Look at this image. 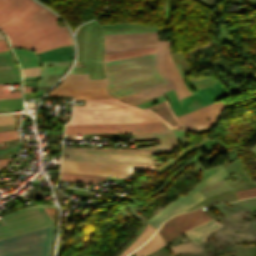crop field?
I'll list each match as a JSON object with an SVG mask.
<instances>
[{"label": "crop field", "mask_w": 256, "mask_h": 256, "mask_svg": "<svg viewBox=\"0 0 256 256\" xmlns=\"http://www.w3.org/2000/svg\"><path fill=\"white\" fill-rule=\"evenodd\" d=\"M60 19L31 0H0V28L8 35L12 47L29 48L37 53L72 43Z\"/></svg>", "instance_id": "1"}, {"label": "crop field", "mask_w": 256, "mask_h": 256, "mask_svg": "<svg viewBox=\"0 0 256 256\" xmlns=\"http://www.w3.org/2000/svg\"><path fill=\"white\" fill-rule=\"evenodd\" d=\"M104 63L107 90L119 99L168 83L156 68V53Z\"/></svg>", "instance_id": "2"}, {"label": "crop field", "mask_w": 256, "mask_h": 256, "mask_svg": "<svg viewBox=\"0 0 256 256\" xmlns=\"http://www.w3.org/2000/svg\"><path fill=\"white\" fill-rule=\"evenodd\" d=\"M132 137L134 142L158 140L161 146L139 149L63 148L62 159L159 166L162 163L153 161L159 160V157L146 154H169L172 147L178 145L171 130L156 134L132 135Z\"/></svg>", "instance_id": "3"}, {"label": "crop field", "mask_w": 256, "mask_h": 256, "mask_svg": "<svg viewBox=\"0 0 256 256\" xmlns=\"http://www.w3.org/2000/svg\"><path fill=\"white\" fill-rule=\"evenodd\" d=\"M153 47H158L157 68L171 83L177 99L192 94L169 54L168 42H158L157 32L104 35L105 53Z\"/></svg>", "instance_id": "4"}, {"label": "crop field", "mask_w": 256, "mask_h": 256, "mask_svg": "<svg viewBox=\"0 0 256 256\" xmlns=\"http://www.w3.org/2000/svg\"><path fill=\"white\" fill-rule=\"evenodd\" d=\"M160 122L152 115L116 98L86 101L74 106L72 121L67 125Z\"/></svg>", "instance_id": "5"}, {"label": "crop field", "mask_w": 256, "mask_h": 256, "mask_svg": "<svg viewBox=\"0 0 256 256\" xmlns=\"http://www.w3.org/2000/svg\"><path fill=\"white\" fill-rule=\"evenodd\" d=\"M53 231L54 225L0 240V256H50Z\"/></svg>", "instance_id": "6"}, {"label": "crop field", "mask_w": 256, "mask_h": 256, "mask_svg": "<svg viewBox=\"0 0 256 256\" xmlns=\"http://www.w3.org/2000/svg\"><path fill=\"white\" fill-rule=\"evenodd\" d=\"M53 224L43 207L20 209L0 219V239Z\"/></svg>", "instance_id": "7"}, {"label": "crop field", "mask_w": 256, "mask_h": 256, "mask_svg": "<svg viewBox=\"0 0 256 256\" xmlns=\"http://www.w3.org/2000/svg\"><path fill=\"white\" fill-rule=\"evenodd\" d=\"M106 80L90 81L87 73L68 74L62 84L47 96H76V100L113 97L106 90Z\"/></svg>", "instance_id": "8"}, {"label": "crop field", "mask_w": 256, "mask_h": 256, "mask_svg": "<svg viewBox=\"0 0 256 256\" xmlns=\"http://www.w3.org/2000/svg\"><path fill=\"white\" fill-rule=\"evenodd\" d=\"M133 166L62 160L61 172L128 178Z\"/></svg>", "instance_id": "9"}, {"label": "crop field", "mask_w": 256, "mask_h": 256, "mask_svg": "<svg viewBox=\"0 0 256 256\" xmlns=\"http://www.w3.org/2000/svg\"><path fill=\"white\" fill-rule=\"evenodd\" d=\"M210 219L212 217L208 216L203 209L199 208L192 212L174 216L164 222L158 231L166 243L184 231Z\"/></svg>", "instance_id": "10"}, {"label": "crop field", "mask_w": 256, "mask_h": 256, "mask_svg": "<svg viewBox=\"0 0 256 256\" xmlns=\"http://www.w3.org/2000/svg\"><path fill=\"white\" fill-rule=\"evenodd\" d=\"M168 129L162 123L66 126L65 134L120 132L151 133Z\"/></svg>", "instance_id": "11"}, {"label": "crop field", "mask_w": 256, "mask_h": 256, "mask_svg": "<svg viewBox=\"0 0 256 256\" xmlns=\"http://www.w3.org/2000/svg\"><path fill=\"white\" fill-rule=\"evenodd\" d=\"M222 101L215 102L186 114L184 127L178 130L206 131L224 110Z\"/></svg>", "instance_id": "12"}, {"label": "crop field", "mask_w": 256, "mask_h": 256, "mask_svg": "<svg viewBox=\"0 0 256 256\" xmlns=\"http://www.w3.org/2000/svg\"><path fill=\"white\" fill-rule=\"evenodd\" d=\"M229 175L223 168L216 171L215 173L207 176L204 178L202 181H200L187 195L186 199L180 203L169 215L168 218L174 216L175 214H179L181 212H184L187 210L189 207H191L193 204L196 202L200 201L201 199L205 198L198 190L209 186L213 183H216L222 179L228 178ZM167 218V219H168Z\"/></svg>", "instance_id": "13"}, {"label": "crop field", "mask_w": 256, "mask_h": 256, "mask_svg": "<svg viewBox=\"0 0 256 256\" xmlns=\"http://www.w3.org/2000/svg\"><path fill=\"white\" fill-rule=\"evenodd\" d=\"M144 110L152 113L156 118L160 119L169 128L180 127L176 116L168 106L166 100L151 107H148Z\"/></svg>", "instance_id": "14"}, {"label": "crop field", "mask_w": 256, "mask_h": 256, "mask_svg": "<svg viewBox=\"0 0 256 256\" xmlns=\"http://www.w3.org/2000/svg\"><path fill=\"white\" fill-rule=\"evenodd\" d=\"M220 226H222V225L219 224L214 219H212L200 226H197V227L185 232V234L188 237H190L195 244L198 245L199 242L206 240L205 238L207 235H209L211 232H213L215 229L219 228Z\"/></svg>", "instance_id": "15"}, {"label": "crop field", "mask_w": 256, "mask_h": 256, "mask_svg": "<svg viewBox=\"0 0 256 256\" xmlns=\"http://www.w3.org/2000/svg\"><path fill=\"white\" fill-rule=\"evenodd\" d=\"M20 81L19 71H15L8 55L0 56V83Z\"/></svg>", "instance_id": "16"}, {"label": "crop field", "mask_w": 256, "mask_h": 256, "mask_svg": "<svg viewBox=\"0 0 256 256\" xmlns=\"http://www.w3.org/2000/svg\"><path fill=\"white\" fill-rule=\"evenodd\" d=\"M21 65V69L39 65V60L35 53L27 50L13 49Z\"/></svg>", "instance_id": "17"}, {"label": "crop field", "mask_w": 256, "mask_h": 256, "mask_svg": "<svg viewBox=\"0 0 256 256\" xmlns=\"http://www.w3.org/2000/svg\"><path fill=\"white\" fill-rule=\"evenodd\" d=\"M163 244L165 243L157 231L150 241H148L146 244L141 246L139 249H137L133 253L135 256H146L148 253L154 251L155 249L162 246Z\"/></svg>", "instance_id": "18"}, {"label": "crop field", "mask_w": 256, "mask_h": 256, "mask_svg": "<svg viewBox=\"0 0 256 256\" xmlns=\"http://www.w3.org/2000/svg\"><path fill=\"white\" fill-rule=\"evenodd\" d=\"M155 231L156 230L148 223L139 237L120 256H126L131 251L141 246L152 236Z\"/></svg>", "instance_id": "19"}, {"label": "crop field", "mask_w": 256, "mask_h": 256, "mask_svg": "<svg viewBox=\"0 0 256 256\" xmlns=\"http://www.w3.org/2000/svg\"><path fill=\"white\" fill-rule=\"evenodd\" d=\"M60 180L88 182L96 184V180L106 181V177L61 173Z\"/></svg>", "instance_id": "20"}, {"label": "crop field", "mask_w": 256, "mask_h": 256, "mask_svg": "<svg viewBox=\"0 0 256 256\" xmlns=\"http://www.w3.org/2000/svg\"><path fill=\"white\" fill-rule=\"evenodd\" d=\"M181 197H183V196H181ZM181 197H179L176 201L167 205L155 217L150 218L147 221L150 222L153 226H155L158 229V227L160 226V224L162 223L164 218L170 213V211L176 206V204L182 200Z\"/></svg>", "instance_id": "21"}, {"label": "crop field", "mask_w": 256, "mask_h": 256, "mask_svg": "<svg viewBox=\"0 0 256 256\" xmlns=\"http://www.w3.org/2000/svg\"><path fill=\"white\" fill-rule=\"evenodd\" d=\"M157 48L105 54V60H112L156 52Z\"/></svg>", "instance_id": "22"}, {"label": "crop field", "mask_w": 256, "mask_h": 256, "mask_svg": "<svg viewBox=\"0 0 256 256\" xmlns=\"http://www.w3.org/2000/svg\"><path fill=\"white\" fill-rule=\"evenodd\" d=\"M17 138H19V137H18L16 130L0 133V142L6 141V140H11V139H17Z\"/></svg>", "instance_id": "23"}, {"label": "crop field", "mask_w": 256, "mask_h": 256, "mask_svg": "<svg viewBox=\"0 0 256 256\" xmlns=\"http://www.w3.org/2000/svg\"><path fill=\"white\" fill-rule=\"evenodd\" d=\"M21 97L20 91L3 92L2 84H0V99Z\"/></svg>", "instance_id": "24"}, {"label": "crop field", "mask_w": 256, "mask_h": 256, "mask_svg": "<svg viewBox=\"0 0 256 256\" xmlns=\"http://www.w3.org/2000/svg\"><path fill=\"white\" fill-rule=\"evenodd\" d=\"M39 72V66L22 70L23 77L38 76Z\"/></svg>", "instance_id": "25"}, {"label": "crop field", "mask_w": 256, "mask_h": 256, "mask_svg": "<svg viewBox=\"0 0 256 256\" xmlns=\"http://www.w3.org/2000/svg\"><path fill=\"white\" fill-rule=\"evenodd\" d=\"M254 189H256V188H254ZM249 190H253V189H249ZM249 190L236 191L233 193L244 192V191H249ZM235 196L237 197V199H242L245 197H254V196H256V190L250 191V192H244V193H237V194H235Z\"/></svg>", "instance_id": "26"}, {"label": "crop field", "mask_w": 256, "mask_h": 256, "mask_svg": "<svg viewBox=\"0 0 256 256\" xmlns=\"http://www.w3.org/2000/svg\"><path fill=\"white\" fill-rule=\"evenodd\" d=\"M10 123H11V116L0 117V125L10 124Z\"/></svg>", "instance_id": "27"}, {"label": "crop field", "mask_w": 256, "mask_h": 256, "mask_svg": "<svg viewBox=\"0 0 256 256\" xmlns=\"http://www.w3.org/2000/svg\"><path fill=\"white\" fill-rule=\"evenodd\" d=\"M6 50H9V49L5 43V40L0 41V51H6Z\"/></svg>", "instance_id": "28"}, {"label": "crop field", "mask_w": 256, "mask_h": 256, "mask_svg": "<svg viewBox=\"0 0 256 256\" xmlns=\"http://www.w3.org/2000/svg\"><path fill=\"white\" fill-rule=\"evenodd\" d=\"M12 159H13V158H9V159H0V167L6 165V163H7L8 161L12 160Z\"/></svg>", "instance_id": "29"}, {"label": "crop field", "mask_w": 256, "mask_h": 256, "mask_svg": "<svg viewBox=\"0 0 256 256\" xmlns=\"http://www.w3.org/2000/svg\"><path fill=\"white\" fill-rule=\"evenodd\" d=\"M177 118L179 119V121H180V123H181V125H182V123H183V121H184V115L177 116Z\"/></svg>", "instance_id": "30"}, {"label": "crop field", "mask_w": 256, "mask_h": 256, "mask_svg": "<svg viewBox=\"0 0 256 256\" xmlns=\"http://www.w3.org/2000/svg\"><path fill=\"white\" fill-rule=\"evenodd\" d=\"M1 39H4V38H3V35H2V33H0V40H1Z\"/></svg>", "instance_id": "31"}, {"label": "crop field", "mask_w": 256, "mask_h": 256, "mask_svg": "<svg viewBox=\"0 0 256 256\" xmlns=\"http://www.w3.org/2000/svg\"><path fill=\"white\" fill-rule=\"evenodd\" d=\"M3 115H10V114H0V116H3Z\"/></svg>", "instance_id": "32"}, {"label": "crop field", "mask_w": 256, "mask_h": 256, "mask_svg": "<svg viewBox=\"0 0 256 256\" xmlns=\"http://www.w3.org/2000/svg\"><path fill=\"white\" fill-rule=\"evenodd\" d=\"M3 169H0V171H2Z\"/></svg>", "instance_id": "33"}]
</instances>
